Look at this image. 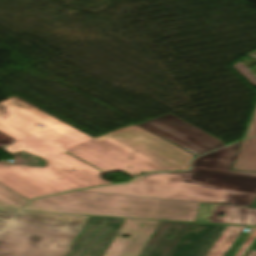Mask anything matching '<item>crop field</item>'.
Masks as SVG:
<instances>
[{"label":"crop field","mask_w":256,"mask_h":256,"mask_svg":"<svg viewBox=\"0 0 256 256\" xmlns=\"http://www.w3.org/2000/svg\"><path fill=\"white\" fill-rule=\"evenodd\" d=\"M0 131L17 140L6 151L25 150L48 162L45 168L0 164V183L28 200L110 184L98 177L103 173L65 152L106 173L125 170L133 176L187 169L193 157L136 125L93 139L16 98L0 103Z\"/></svg>","instance_id":"crop-field-1"},{"label":"crop field","mask_w":256,"mask_h":256,"mask_svg":"<svg viewBox=\"0 0 256 256\" xmlns=\"http://www.w3.org/2000/svg\"><path fill=\"white\" fill-rule=\"evenodd\" d=\"M82 191L250 206L256 173L196 168L193 174L144 175L129 184Z\"/></svg>","instance_id":"crop-field-2"},{"label":"crop field","mask_w":256,"mask_h":256,"mask_svg":"<svg viewBox=\"0 0 256 256\" xmlns=\"http://www.w3.org/2000/svg\"><path fill=\"white\" fill-rule=\"evenodd\" d=\"M199 204L75 191L32 200L22 210L194 222Z\"/></svg>","instance_id":"crop-field-3"},{"label":"crop field","mask_w":256,"mask_h":256,"mask_svg":"<svg viewBox=\"0 0 256 256\" xmlns=\"http://www.w3.org/2000/svg\"><path fill=\"white\" fill-rule=\"evenodd\" d=\"M87 219L0 210V256H64Z\"/></svg>","instance_id":"crop-field-4"},{"label":"crop field","mask_w":256,"mask_h":256,"mask_svg":"<svg viewBox=\"0 0 256 256\" xmlns=\"http://www.w3.org/2000/svg\"><path fill=\"white\" fill-rule=\"evenodd\" d=\"M145 130L163 137L199 156L224 146L223 142L171 114L137 124Z\"/></svg>","instance_id":"crop-field-5"},{"label":"crop field","mask_w":256,"mask_h":256,"mask_svg":"<svg viewBox=\"0 0 256 256\" xmlns=\"http://www.w3.org/2000/svg\"><path fill=\"white\" fill-rule=\"evenodd\" d=\"M124 220L90 217L65 256H103Z\"/></svg>","instance_id":"crop-field-6"},{"label":"crop field","mask_w":256,"mask_h":256,"mask_svg":"<svg viewBox=\"0 0 256 256\" xmlns=\"http://www.w3.org/2000/svg\"><path fill=\"white\" fill-rule=\"evenodd\" d=\"M160 221L126 219L104 256H140ZM122 235L132 236L130 239Z\"/></svg>","instance_id":"crop-field-7"},{"label":"crop field","mask_w":256,"mask_h":256,"mask_svg":"<svg viewBox=\"0 0 256 256\" xmlns=\"http://www.w3.org/2000/svg\"><path fill=\"white\" fill-rule=\"evenodd\" d=\"M224 228L192 224L172 256H205Z\"/></svg>","instance_id":"crop-field-8"},{"label":"crop field","mask_w":256,"mask_h":256,"mask_svg":"<svg viewBox=\"0 0 256 256\" xmlns=\"http://www.w3.org/2000/svg\"><path fill=\"white\" fill-rule=\"evenodd\" d=\"M190 224L161 221L141 256H171ZM172 234L170 239L165 238Z\"/></svg>","instance_id":"crop-field-9"},{"label":"crop field","mask_w":256,"mask_h":256,"mask_svg":"<svg viewBox=\"0 0 256 256\" xmlns=\"http://www.w3.org/2000/svg\"><path fill=\"white\" fill-rule=\"evenodd\" d=\"M218 210L224 211L222 218H216ZM201 222L256 225V209L243 206L201 203L196 220Z\"/></svg>","instance_id":"crop-field-10"},{"label":"crop field","mask_w":256,"mask_h":256,"mask_svg":"<svg viewBox=\"0 0 256 256\" xmlns=\"http://www.w3.org/2000/svg\"><path fill=\"white\" fill-rule=\"evenodd\" d=\"M245 227L226 226L206 256H244L256 238L251 227L248 237L238 236Z\"/></svg>","instance_id":"crop-field-11"},{"label":"crop field","mask_w":256,"mask_h":256,"mask_svg":"<svg viewBox=\"0 0 256 256\" xmlns=\"http://www.w3.org/2000/svg\"><path fill=\"white\" fill-rule=\"evenodd\" d=\"M240 142L231 145L229 147L220 149L218 151L209 153L207 155L201 156L194 159L192 163L191 170L188 172H178V173H154V174H183L192 173L195 167L204 168H217L230 170L237 153Z\"/></svg>","instance_id":"crop-field-12"},{"label":"crop field","mask_w":256,"mask_h":256,"mask_svg":"<svg viewBox=\"0 0 256 256\" xmlns=\"http://www.w3.org/2000/svg\"><path fill=\"white\" fill-rule=\"evenodd\" d=\"M233 169L256 172V138L244 141Z\"/></svg>","instance_id":"crop-field-13"},{"label":"crop field","mask_w":256,"mask_h":256,"mask_svg":"<svg viewBox=\"0 0 256 256\" xmlns=\"http://www.w3.org/2000/svg\"><path fill=\"white\" fill-rule=\"evenodd\" d=\"M28 200L0 184V208L20 209Z\"/></svg>","instance_id":"crop-field-14"},{"label":"crop field","mask_w":256,"mask_h":256,"mask_svg":"<svg viewBox=\"0 0 256 256\" xmlns=\"http://www.w3.org/2000/svg\"><path fill=\"white\" fill-rule=\"evenodd\" d=\"M256 136V109L244 138Z\"/></svg>","instance_id":"crop-field-15"},{"label":"crop field","mask_w":256,"mask_h":256,"mask_svg":"<svg viewBox=\"0 0 256 256\" xmlns=\"http://www.w3.org/2000/svg\"><path fill=\"white\" fill-rule=\"evenodd\" d=\"M9 141L15 142V139H13V138H11V137H9V136L0 132V142L6 143V142H9Z\"/></svg>","instance_id":"crop-field-16"},{"label":"crop field","mask_w":256,"mask_h":256,"mask_svg":"<svg viewBox=\"0 0 256 256\" xmlns=\"http://www.w3.org/2000/svg\"><path fill=\"white\" fill-rule=\"evenodd\" d=\"M250 58H255L256 59V51H253L249 54H247Z\"/></svg>","instance_id":"crop-field-17"},{"label":"crop field","mask_w":256,"mask_h":256,"mask_svg":"<svg viewBox=\"0 0 256 256\" xmlns=\"http://www.w3.org/2000/svg\"><path fill=\"white\" fill-rule=\"evenodd\" d=\"M248 256H256V251H250V253L248 254Z\"/></svg>","instance_id":"crop-field-18"},{"label":"crop field","mask_w":256,"mask_h":256,"mask_svg":"<svg viewBox=\"0 0 256 256\" xmlns=\"http://www.w3.org/2000/svg\"><path fill=\"white\" fill-rule=\"evenodd\" d=\"M252 250H256V244L254 245V247L252 248Z\"/></svg>","instance_id":"crop-field-19"},{"label":"crop field","mask_w":256,"mask_h":256,"mask_svg":"<svg viewBox=\"0 0 256 256\" xmlns=\"http://www.w3.org/2000/svg\"><path fill=\"white\" fill-rule=\"evenodd\" d=\"M254 207H256V202L254 203V205H253Z\"/></svg>","instance_id":"crop-field-20"}]
</instances>
